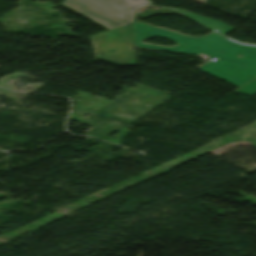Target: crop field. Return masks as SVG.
I'll list each match as a JSON object with an SVG mask.
<instances>
[{
    "mask_svg": "<svg viewBox=\"0 0 256 256\" xmlns=\"http://www.w3.org/2000/svg\"><path fill=\"white\" fill-rule=\"evenodd\" d=\"M133 28L136 47L210 55L219 60L208 62L199 69L238 87L256 77V46L238 44L214 33L204 38L189 37L139 22L134 23ZM147 36H161L178 45L164 47L141 43L140 39ZM238 53L244 57H236Z\"/></svg>",
    "mask_w": 256,
    "mask_h": 256,
    "instance_id": "obj_1",
    "label": "crop field"
},
{
    "mask_svg": "<svg viewBox=\"0 0 256 256\" xmlns=\"http://www.w3.org/2000/svg\"><path fill=\"white\" fill-rule=\"evenodd\" d=\"M149 4L147 0H65L60 5L112 30L134 20V11Z\"/></svg>",
    "mask_w": 256,
    "mask_h": 256,
    "instance_id": "obj_2",
    "label": "crop field"
},
{
    "mask_svg": "<svg viewBox=\"0 0 256 256\" xmlns=\"http://www.w3.org/2000/svg\"><path fill=\"white\" fill-rule=\"evenodd\" d=\"M90 39L96 59L116 65L136 64L131 25Z\"/></svg>",
    "mask_w": 256,
    "mask_h": 256,
    "instance_id": "obj_3",
    "label": "crop field"
},
{
    "mask_svg": "<svg viewBox=\"0 0 256 256\" xmlns=\"http://www.w3.org/2000/svg\"><path fill=\"white\" fill-rule=\"evenodd\" d=\"M163 13H176L177 12L170 10V9H165V8H161V9H157V10H151V9H146L145 7L140 9L139 11H137V16L144 18L147 17L149 15L152 14H163Z\"/></svg>",
    "mask_w": 256,
    "mask_h": 256,
    "instance_id": "obj_4",
    "label": "crop field"
},
{
    "mask_svg": "<svg viewBox=\"0 0 256 256\" xmlns=\"http://www.w3.org/2000/svg\"><path fill=\"white\" fill-rule=\"evenodd\" d=\"M235 92L247 95L253 94L254 92H256V79L244 85L243 87L235 90Z\"/></svg>",
    "mask_w": 256,
    "mask_h": 256,
    "instance_id": "obj_5",
    "label": "crop field"
}]
</instances>
